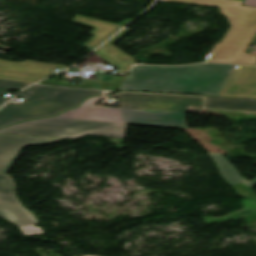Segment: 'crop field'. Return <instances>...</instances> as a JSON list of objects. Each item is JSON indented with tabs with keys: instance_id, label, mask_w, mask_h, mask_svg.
I'll list each match as a JSON object with an SVG mask.
<instances>
[{
	"instance_id": "crop-field-1",
	"label": "crop field",
	"mask_w": 256,
	"mask_h": 256,
	"mask_svg": "<svg viewBox=\"0 0 256 256\" xmlns=\"http://www.w3.org/2000/svg\"><path fill=\"white\" fill-rule=\"evenodd\" d=\"M120 108L95 106L103 97L87 99L57 117L31 121L0 133L70 139L84 134L120 138L126 124L188 129L185 105L202 106L203 97L120 93Z\"/></svg>"
},
{
	"instance_id": "crop-field-2",
	"label": "crop field",
	"mask_w": 256,
	"mask_h": 256,
	"mask_svg": "<svg viewBox=\"0 0 256 256\" xmlns=\"http://www.w3.org/2000/svg\"><path fill=\"white\" fill-rule=\"evenodd\" d=\"M236 65H134L119 90L219 96Z\"/></svg>"
},
{
	"instance_id": "crop-field-3",
	"label": "crop field",
	"mask_w": 256,
	"mask_h": 256,
	"mask_svg": "<svg viewBox=\"0 0 256 256\" xmlns=\"http://www.w3.org/2000/svg\"><path fill=\"white\" fill-rule=\"evenodd\" d=\"M158 1L220 7V13L228 18L231 27L204 62L256 65V55L246 53L256 36V7L243 6L244 0Z\"/></svg>"
},
{
	"instance_id": "crop-field-4",
	"label": "crop field",
	"mask_w": 256,
	"mask_h": 256,
	"mask_svg": "<svg viewBox=\"0 0 256 256\" xmlns=\"http://www.w3.org/2000/svg\"><path fill=\"white\" fill-rule=\"evenodd\" d=\"M101 91L35 85L21 94L25 101L9 102L0 110V127L20 121L56 115L77 106L84 98Z\"/></svg>"
},
{
	"instance_id": "crop-field-5",
	"label": "crop field",
	"mask_w": 256,
	"mask_h": 256,
	"mask_svg": "<svg viewBox=\"0 0 256 256\" xmlns=\"http://www.w3.org/2000/svg\"><path fill=\"white\" fill-rule=\"evenodd\" d=\"M0 216L20 227L24 236L43 234L35 228V217L24 208L15 195L14 182L10 175L0 174Z\"/></svg>"
},
{
	"instance_id": "crop-field-6",
	"label": "crop field",
	"mask_w": 256,
	"mask_h": 256,
	"mask_svg": "<svg viewBox=\"0 0 256 256\" xmlns=\"http://www.w3.org/2000/svg\"><path fill=\"white\" fill-rule=\"evenodd\" d=\"M67 67L28 60L18 63L0 59V79L35 83L54 74L51 72L53 69L58 68L62 70Z\"/></svg>"
},
{
	"instance_id": "crop-field-7",
	"label": "crop field",
	"mask_w": 256,
	"mask_h": 256,
	"mask_svg": "<svg viewBox=\"0 0 256 256\" xmlns=\"http://www.w3.org/2000/svg\"><path fill=\"white\" fill-rule=\"evenodd\" d=\"M220 96L256 98V67L237 65Z\"/></svg>"
},
{
	"instance_id": "crop-field-8",
	"label": "crop field",
	"mask_w": 256,
	"mask_h": 256,
	"mask_svg": "<svg viewBox=\"0 0 256 256\" xmlns=\"http://www.w3.org/2000/svg\"><path fill=\"white\" fill-rule=\"evenodd\" d=\"M57 141L62 140L0 135V173H8L9 168L23 147L46 145Z\"/></svg>"
},
{
	"instance_id": "crop-field-9",
	"label": "crop field",
	"mask_w": 256,
	"mask_h": 256,
	"mask_svg": "<svg viewBox=\"0 0 256 256\" xmlns=\"http://www.w3.org/2000/svg\"><path fill=\"white\" fill-rule=\"evenodd\" d=\"M129 21H131V19H128L116 25L79 15H76L72 20L73 23L87 25L95 28L92 32H90V34H93L94 37L83 45L91 50H93L106 39H108L110 36H112L115 32L121 29Z\"/></svg>"
},
{
	"instance_id": "crop-field-10",
	"label": "crop field",
	"mask_w": 256,
	"mask_h": 256,
	"mask_svg": "<svg viewBox=\"0 0 256 256\" xmlns=\"http://www.w3.org/2000/svg\"><path fill=\"white\" fill-rule=\"evenodd\" d=\"M209 155L217 163L221 174L244 198L256 199V194L250 189L251 186L256 184V179L252 181L245 180L241 176V174L222 155ZM239 182H244L246 185L241 186Z\"/></svg>"
},
{
	"instance_id": "crop-field-11",
	"label": "crop field",
	"mask_w": 256,
	"mask_h": 256,
	"mask_svg": "<svg viewBox=\"0 0 256 256\" xmlns=\"http://www.w3.org/2000/svg\"><path fill=\"white\" fill-rule=\"evenodd\" d=\"M205 108L256 111V100L207 97Z\"/></svg>"
},
{
	"instance_id": "crop-field-12",
	"label": "crop field",
	"mask_w": 256,
	"mask_h": 256,
	"mask_svg": "<svg viewBox=\"0 0 256 256\" xmlns=\"http://www.w3.org/2000/svg\"><path fill=\"white\" fill-rule=\"evenodd\" d=\"M28 85L30 84L0 80V96L4 94L8 89L20 90ZM7 100V98L0 97V106Z\"/></svg>"
},
{
	"instance_id": "crop-field-13",
	"label": "crop field",
	"mask_w": 256,
	"mask_h": 256,
	"mask_svg": "<svg viewBox=\"0 0 256 256\" xmlns=\"http://www.w3.org/2000/svg\"><path fill=\"white\" fill-rule=\"evenodd\" d=\"M202 107L186 106V111L201 112Z\"/></svg>"
},
{
	"instance_id": "crop-field-14",
	"label": "crop field",
	"mask_w": 256,
	"mask_h": 256,
	"mask_svg": "<svg viewBox=\"0 0 256 256\" xmlns=\"http://www.w3.org/2000/svg\"><path fill=\"white\" fill-rule=\"evenodd\" d=\"M243 5L256 6V0H245Z\"/></svg>"
}]
</instances>
